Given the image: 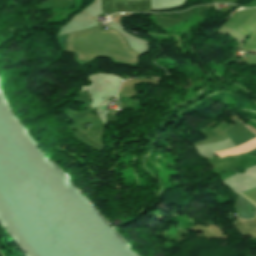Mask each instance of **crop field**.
Returning <instances> with one entry per match:
<instances>
[{
    "mask_svg": "<svg viewBox=\"0 0 256 256\" xmlns=\"http://www.w3.org/2000/svg\"><path fill=\"white\" fill-rule=\"evenodd\" d=\"M226 135L231 139L235 146L255 137L244 125L241 123L234 125L226 130ZM256 154V150L250 152ZM246 154V153H245Z\"/></svg>",
    "mask_w": 256,
    "mask_h": 256,
    "instance_id": "8a807250",
    "label": "crop field"
},
{
    "mask_svg": "<svg viewBox=\"0 0 256 256\" xmlns=\"http://www.w3.org/2000/svg\"><path fill=\"white\" fill-rule=\"evenodd\" d=\"M241 195V194H240ZM238 194V197H237V201H236V205H235V208H236V211H237V214H238V217L242 218V219H253L255 216H256V206L254 207L253 205H251L248 201H246L242 196H240Z\"/></svg>",
    "mask_w": 256,
    "mask_h": 256,
    "instance_id": "ac0d7876",
    "label": "crop field"
}]
</instances>
